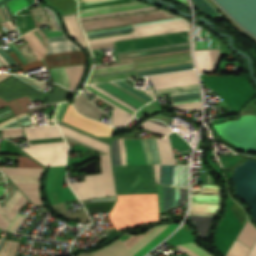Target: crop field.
<instances>
[{
    "label": "crop field",
    "mask_w": 256,
    "mask_h": 256,
    "mask_svg": "<svg viewBox=\"0 0 256 256\" xmlns=\"http://www.w3.org/2000/svg\"><path fill=\"white\" fill-rule=\"evenodd\" d=\"M117 194L156 191L153 165L113 167ZM109 214L115 229L158 221L156 192L117 195Z\"/></svg>",
    "instance_id": "crop-field-1"
},
{
    "label": "crop field",
    "mask_w": 256,
    "mask_h": 256,
    "mask_svg": "<svg viewBox=\"0 0 256 256\" xmlns=\"http://www.w3.org/2000/svg\"><path fill=\"white\" fill-rule=\"evenodd\" d=\"M128 165L154 164L157 184L187 188V165H175L171 147L191 149L175 132L164 139L124 140Z\"/></svg>",
    "instance_id": "crop-field-2"
},
{
    "label": "crop field",
    "mask_w": 256,
    "mask_h": 256,
    "mask_svg": "<svg viewBox=\"0 0 256 256\" xmlns=\"http://www.w3.org/2000/svg\"><path fill=\"white\" fill-rule=\"evenodd\" d=\"M189 30L188 21L170 18L84 32L90 45Z\"/></svg>",
    "instance_id": "crop-field-3"
},
{
    "label": "crop field",
    "mask_w": 256,
    "mask_h": 256,
    "mask_svg": "<svg viewBox=\"0 0 256 256\" xmlns=\"http://www.w3.org/2000/svg\"><path fill=\"white\" fill-rule=\"evenodd\" d=\"M50 19V27L52 30L47 31L48 55H56L63 53L82 51L74 43L68 40L65 36L60 21L54 10L44 6L43 7ZM44 61L48 69L81 64L85 61V54L83 52L71 53L64 55L44 57Z\"/></svg>",
    "instance_id": "crop-field-4"
},
{
    "label": "crop field",
    "mask_w": 256,
    "mask_h": 256,
    "mask_svg": "<svg viewBox=\"0 0 256 256\" xmlns=\"http://www.w3.org/2000/svg\"><path fill=\"white\" fill-rule=\"evenodd\" d=\"M197 186H202V193L191 196L190 218L199 231L201 238L207 237V231L219 208V185H191V195Z\"/></svg>",
    "instance_id": "crop-field-5"
},
{
    "label": "crop field",
    "mask_w": 256,
    "mask_h": 256,
    "mask_svg": "<svg viewBox=\"0 0 256 256\" xmlns=\"http://www.w3.org/2000/svg\"><path fill=\"white\" fill-rule=\"evenodd\" d=\"M80 20L154 10L134 0H78Z\"/></svg>",
    "instance_id": "crop-field-6"
},
{
    "label": "crop field",
    "mask_w": 256,
    "mask_h": 256,
    "mask_svg": "<svg viewBox=\"0 0 256 256\" xmlns=\"http://www.w3.org/2000/svg\"><path fill=\"white\" fill-rule=\"evenodd\" d=\"M19 167H41L27 157H19ZM4 173L26 194L34 204H42L39 194V175L43 168L1 167Z\"/></svg>",
    "instance_id": "crop-field-7"
},
{
    "label": "crop field",
    "mask_w": 256,
    "mask_h": 256,
    "mask_svg": "<svg viewBox=\"0 0 256 256\" xmlns=\"http://www.w3.org/2000/svg\"><path fill=\"white\" fill-rule=\"evenodd\" d=\"M22 37L28 43L18 47V50L20 51L24 59L27 61V63L41 60L47 50L46 35L43 32H41L38 28H36L26 33ZM9 54L18 62V64L21 66L24 72L44 67L42 60L23 65L13 51L9 52Z\"/></svg>",
    "instance_id": "crop-field-8"
},
{
    "label": "crop field",
    "mask_w": 256,
    "mask_h": 256,
    "mask_svg": "<svg viewBox=\"0 0 256 256\" xmlns=\"http://www.w3.org/2000/svg\"><path fill=\"white\" fill-rule=\"evenodd\" d=\"M189 61H192L190 57V53L152 58V59L136 60L132 62L135 68L139 69V68L168 65V64H175V63H182V62H189ZM192 68H193V64L192 62H189V63L175 64V65H168V66L139 69L137 70V72L139 76H144V75L189 70Z\"/></svg>",
    "instance_id": "crop-field-9"
},
{
    "label": "crop field",
    "mask_w": 256,
    "mask_h": 256,
    "mask_svg": "<svg viewBox=\"0 0 256 256\" xmlns=\"http://www.w3.org/2000/svg\"><path fill=\"white\" fill-rule=\"evenodd\" d=\"M176 17L162 10L81 22L84 31Z\"/></svg>",
    "instance_id": "crop-field-10"
},
{
    "label": "crop field",
    "mask_w": 256,
    "mask_h": 256,
    "mask_svg": "<svg viewBox=\"0 0 256 256\" xmlns=\"http://www.w3.org/2000/svg\"><path fill=\"white\" fill-rule=\"evenodd\" d=\"M179 224H171V225H162L158 226L157 228H153L151 230H148L140 235L133 236L130 239H128L125 243L127 248L129 249L130 247V252L132 253L133 256H144L148 251H150L152 248H154L156 245H158L164 238H166L173 230L177 228Z\"/></svg>",
    "instance_id": "crop-field-11"
},
{
    "label": "crop field",
    "mask_w": 256,
    "mask_h": 256,
    "mask_svg": "<svg viewBox=\"0 0 256 256\" xmlns=\"http://www.w3.org/2000/svg\"><path fill=\"white\" fill-rule=\"evenodd\" d=\"M67 103H60L55 113V122L58 123L64 137L74 142L80 143L86 147L96 150L102 154H110L109 147L110 143L103 141L97 137L79 131L67 124L60 122L62 113Z\"/></svg>",
    "instance_id": "crop-field-12"
},
{
    "label": "crop field",
    "mask_w": 256,
    "mask_h": 256,
    "mask_svg": "<svg viewBox=\"0 0 256 256\" xmlns=\"http://www.w3.org/2000/svg\"><path fill=\"white\" fill-rule=\"evenodd\" d=\"M189 41V31L115 42L117 52Z\"/></svg>",
    "instance_id": "crop-field-13"
},
{
    "label": "crop field",
    "mask_w": 256,
    "mask_h": 256,
    "mask_svg": "<svg viewBox=\"0 0 256 256\" xmlns=\"http://www.w3.org/2000/svg\"><path fill=\"white\" fill-rule=\"evenodd\" d=\"M28 154L47 166L65 165L68 151L66 144L22 148Z\"/></svg>",
    "instance_id": "crop-field-14"
},
{
    "label": "crop field",
    "mask_w": 256,
    "mask_h": 256,
    "mask_svg": "<svg viewBox=\"0 0 256 256\" xmlns=\"http://www.w3.org/2000/svg\"><path fill=\"white\" fill-rule=\"evenodd\" d=\"M132 71H135L133 68L132 62L114 64V65H108V66L100 65V66L93 67V71L91 73L90 78L108 76V75H114V74H120V73L132 72ZM135 77H138V76L136 72H133V73H127V74H121V75H115V76L89 79L87 84L135 78Z\"/></svg>",
    "instance_id": "crop-field-15"
},
{
    "label": "crop field",
    "mask_w": 256,
    "mask_h": 256,
    "mask_svg": "<svg viewBox=\"0 0 256 256\" xmlns=\"http://www.w3.org/2000/svg\"><path fill=\"white\" fill-rule=\"evenodd\" d=\"M190 52L189 42L117 53L119 61Z\"/></svg>",
    "instance_id": "crop-field-16"
},
{
    "label": "crop field",
    "mask_w": 256,
    "mask_h": 256,
    "mask_svg": "<svg viewBox=\"0 0 256 256\" xmlns=\"http://www.w3.org/2000/svg\"><path fill=\"white\" fill-rule=\"evenodd\" d=\"M62 121L82 129L94 136L112 135L111 127L83 117L74 110L71 104L67 108Z\"/></svg>",
    "instance_id": "crop-field-17"
},
{
    "label": "crop field",
    "mask_w": 256,
    "mask_h": 256,
    "mask_svg": "<svg viewBox=\"0 0 256 256\" xmlns=\"http://www.w3.org/2000/svg\"><path fill=\"white\" fill-rule=\"evenodd\" d=\"M29 146L65 143L57 126L24 128Z\"/></svg>",
    "instance_id": "crop-field-18"
},
{
    "label": "crop field",
    "mask_w": 256,
    "mask_h": 256,
    "mask_svg": "<svg viewBox=\"0 0 256 256\" xmlns=\"http://www.w3.org/2000/svg\"><path fill=\"white\" fill-rule=\"evenodd\" d=\"M21 95H27L33 99L44 98V94L32 89L13 77H9L0 82V97L9 100Z\"/></svg>",
    "instance_id": "crop-field-19"
},
{
    "label": "crop field",
    "mask_w": 256,
    "mask_h": 256,
    "mask_svg": "<svg viewBox=\"0 0 256 256\" xmlns=\"http://www.w3.org/2000/svg\"><path fill=\"white\" fill-rule=\"evenodd\" d=\"M54 82L68 89H74L83 72V65L49 70Z\"/></svg>",
    "instance_id": "crop-field-20"
},
{
    "label": "crop field",
    "mask_w": 256,
    "mask_h": 256,
    "mask_svg": "<svg viewBox=\"0 0 256 256\" xmlns=\"http://www.w3.org/2000/svg\"><path fill=\"white\" fill-rule=\"evenodd\" d=\"M224 55L222 49L195 50L199 73H213L218 59Z\"/></svg>",
    "instance_id": "crop-field-21"
},
{
    "label": "crop field",
    "mask_w": 256,
    "mask_h": 256,
    "mask_svg": "<svg viewBox=\"0 0 256 256\" xmlns=\"http://www.w3.org/2000/svg\"><path fill=\"white\" fill-rule=\"evenodd\" d=\"M27 200L14 185L0 205L14 219Z\"/></svg>",
    "instance_id": "crop-field-22"
},
{
    "label": "crop field",
    "mask_w": 256,
    "mask_h": 256,
    "mask_svg": "<svg viewBox=\"0 0 256 256\" xmlns=\"http://www.w3.org/2000/svg\"><path fill=\"white\" fill-rule=\"evenodd\" d=\"M77 256H132L123 242L119 239L92 253H81Z\"/></svg>",
    "instance_id": "crop-field-23"
},
{
    "label": "crop field",
    "mask_w": 256,
    "mask_h": 256,
    "mask_svg": "<svg viewBox=\"0 0 256 256\" xmlns=\"http://www.w3.org/2000/svg\"><path fill=\"white\" fill-rule=\"evenodd\" d=\"M75 103H76L77 109L89 117L97 119L101 115V113L98 112L100 110L97 107H95L93 104L88 102L81 95L79 98H77Z\"/></svg>",
    "instance_id": "crop-field-24"
},
{
    "label": "crop field",
    "mask_w": 256,
    "mask_h": 256,
    "mask_svg": "<svg viewBox=\"0 0 256 256\" xmlns=\"http://www.w3.org/2000/svg\"><path fill=\"white\" fill-rule=\"evenodd\" d=\"M115 200L116 198H111V199L84 201L82 203L92 204V203L109 202V201H115ZM114 203L115 202H109V203H100V204H92V205H84V206L88 213H93V212H101V211H110Z\"/></svg>",
    "instance_id": "crop-field-25"
},
{
    "label": "crop field",
    "mask_w": 256,
    "mask_h": 256,
    "mask_svg": "<svg viewBox=\"0 0 256 256\" xmlns=\"http://www.w3.org/2000/svg\"><path fill=\"white\" fill-rule=\"evenodd\" d=\"M247 222L242 228L241 232L239 233L236 239H238L239 241H241L246 246L252 249L256 241V230L250 226L251 224L249 222L248 223L250 225Z\"/></svg>",
    "instance_id": "crop-field-26"
},
{
    "label": "crop field",
    "mask_w": 256,
    "mask_h": 256,
    "mask_svg": "<svg viewBox=\"0 0 256 256\" xmlns=\"http://www.w3.org/2000/svg\"><path fill=\"white\" fill-rule=\"evenodd\" d=\"M32 123V119L27 112L22 113L20 115L14 116L6 121L0 123V128L4 127H20L30 125Z\"/></svg>",
    "instance_id": "crop-field-27"
},
{
    "label": "crop field",
    "mask_w": 256,
    "mask_h": 256,
    "mask_svg": "<svg viewBox=\"0 0 256 256\" xmlns=\"http://www.w3.org/2000/svg\"><path fill=\"white\" fill-rule=\"evenodd\" d=\"M63 18L65 20V23H66L67 27H68V31L72 35V37L74 39H76L77 41H79L81 43V45L87 46L84 39H83V36H82L81 31L79 29V26L77 24L76 16L75 15L65 16Z\"/></svg>",
    "instance_id": "crop-field-28"
},
{
    "label": "crop field",
    "mask_w": 256,
    "mask_h": 256,
    "mask_svg": "<svg viewBox=\"0 0 256 256\" xmlns=\"http://www.w3.org/2000/svg\"><path fill=\"white\" fill-rule=\"evenodd\" d=\"M50 4L58 7L62 15L76 14V0H46Z\"/></svg>",
    "instance_id": "crop-field-29"
},
{
    "label": "crop field",
    "mask_w": 256,
    "mask_h": 256,
    "mask_svg": "<svg viewBox=\"0 0 256 256\" xmlns=\"http://www.w3.org/2000/svg\"><path fill=\"white\" fill-rule=\"evenodd\" d=\"M193 237L190 233L182 230V229H178L173 236L168 239L167 243L176 246V245H180V244H184V243H189V242H193Z\"/></svg>",
    "instance_id": "crop-field-30"
},
{
    "label": "crop field",
    "mask_w": 256,
    "mask_h": 256,
    "mask_svg": "<svg viewBox=\"0 0 256 256\" xmlns=\"http://www.w3.org/2000/svg\"><path fill=\"white\" fill-rule=\"evenodd\" d=\"M70 92L56 84L53 91L47 96V103L66 101Z\"/></svg>",
    "instance_id": "crop-field-31"
},
{
    "label": "crop field",
    "mask_w": 256,
    "mask_h": 256,
    "mask_svg": "<svg viewBox=\"0 0 256 256\" xmlns=\"http://www.w3.org/2000/svg\"><path fill=\"white\" fill-rule=\"evenodd\" d=\"M16 21L21 35L36 28L30 14L18 16Z\"/></svg>",
    "instance_id": "crop-field-32"
},
{
    "label": "crop field",
    "mask_w": 256,
    "mask_h": 256,
    "mask_svg": "<svg viewBox=\"0 0 256 256\" xmlns=\"http://www.w3.org/2000/svg\"><path fill=\"white\" fill-rule=\"evenodd\" d=\"M29 103L30 102L28 101V99L26 97H21L19 99L9 102V103L0 99V108L9 104L11 109L13 110L14 114H16V113L22 112L24 110H27V107L25 104H29Z\"/></svg>",
    "instance_id": "crop-field-33"
},
{
    "label": "crop field",
    "mask_w": 256,
    "mask_h": 256,
    "mask_svg": "<svg viewBox=\"0 0 256 256\" xmlns=\"http://www.w3.org/2000/svg\"><path fill=\"white\" fill-rule=\"evenodd\" d=\"M182 250H184L190 256H211L206 251H204L201 247L190 243L182 246H178Z\"/></svg>",
    "instance_id": "crop-field-34"
},
{
    "label": "crop field",
    "mask_w": 256,
    "mask_h": 256,
    "mask_svg": "<svg viewBox=\"0 0 256 256\" xmlns=\"http://www.w3.org/2000/svg\"><path fill=\"white\" fill-rule=\"evenodd\" d=\"M7 241L0 240V254L5 246ZM18 243L17 242H11L8 241L1 256H14L17 250Z\"/></svg>",
    "instance_id": "crop-field-35"
},
{
    "label": "crop field",
    "mask_w": 256,
    "mask_h": 256,
    "mask_svg": "<svg viewBox=\"0 0 256 256\" xmlns=\"http://www.w3.org/2000/svg\"><path fill=\"white\" fill-rule=\"evenodd\" d=\"M250 249L235 240L226 256H247Z\"/></svg>",
    "instance_id": "crop-field-36"
},
{
    "label": "crop field",
    "mask_w": 256,
    "mask_h": 256,
    "mask_svg": "<svg viewBox=\"0 0 256 256\" xmlns=\"http://www.w3.org/2000/svg\"><path fill=\"white\" fill-rule=\"evenodd\" d=\"M29 11H30L37 27L44 23H48V19L45 15L43 9L41 8V6L30 9Z\"/></svg>",
    "instance_id": "crop-field-37"
},
{
    "label": "crop field",
    "mask_w": 256,
    "mask_h": 256,
    "mask_svg": "<svg viewBox=\"0 0 256 256\" xmlns=\"http://www.w3.org/2000/svg\"><path fill=\"white\" fill-rule=\"evenodd\" d=\"M29 5L34 3L35 0H26ZM25 0H11L7 2L12 14L16 13L18 10L28 6V3Z\"/></svg>",
    "instance_id": "crop-field-38"
},
{
    "label": "crop field",
    "mask_w": 256,
    "mask_h": 256,
    "mask_svg": "<svg viewBox=\"0 0 256 256\" xmlns=\"http://www.w3.org/2000/svg\"><path fill=\"white\" fill-rule=\"evenodd\" d=\"M18 65L15 60H13L7 52L0 47V66H12Z\"/></svg>",
    "instance_id": "crop-field-39"
},
{
    "label": "crop field",
    "mask_w": 256,
    "mask_h": 256,
    "mask_svg": "<svg viewBox=\"0 0 256 256\" xmlns=\"http://www.w3.org/2000/svg\"><path fill=\"white\" fill-rule=\"evenodd\" d=\"M12 76L18 78L19 80L25 82L26 84L34 87L35 89L41 91V89L43 88L44 84L40 83L39 81H34L26 76H22V75H15L13 74Z\"/></svg>",
    "instance_id": "crop-field-40"
},
{
    "label": "crop field",
    "mask_w": 256,
    "mask_h": 256,
    "mask_svg": "<svg viewBox=\"0 0 256 256\" xmlns=\"http://www.w3.org/2000/svg\"><path fill=\"white\" fill-rule=\"evenodd\" d=\"M0 153H21L8 140H2Z\"/></svg>",
    "instance_id": "crop-field-41"
},
{
    "label": "crop field",
    "mask_w": 256,
    "mask_h": 256,
    "mask_svg": "<svg viewBox=\"0 0 256 256\" xmlns=\"http://www.w3.org/2000/svg\"><path fill=\"white\" fill-rule=\"evenodd\" d=\"M0 218L9 225L11 221L13 220L6 212L5 210L0 206ZM0 219V228L2 230H5L8 226Z\"/></svg>",
    "instance_id": "crop-field-42"
},
{
    "label": "crop field",
    "mask_w": 256,
    "mask_h": 256,
    "mask_svg": "<svg viewBox=\"0 0 256 256\" xmlns=\"http://www.w3.org/2000/svg\"><path fill=\"white\" fill-rule=\"evenodd\" d=\"M22 137L20 128L3 129V138Z\"/></svg>",
    "instance_id": "crop-field-43"
},
{
    "label": "crop field",
    "mask_w": 256,
    "mask_h": 256,
    "mask_svg": "<svg viewBox=\"0 0 256 256\" xmlns=\"http://www.w3.org/2000/svg\"><path fill=\"white\" fill-rule=\"evenodd\" d=\"M13 18L9 9H8V6L7 4H3L0 6V21L1 20H6V19H11Z\"/></svg>",
    "instance_id": "crop-field-44"
},
{
    "label": "crop field",
    "mask_w": 256,
    "mask_h": 256,
    "mask_svg": "<svg viewBox=\"0 0 256 256\" xmlns=\"http://www.w3.org/2000/svg\"><path fill=\"white\" fill-rule=\"evenodd\" d=\"M24 217H25V215L18 213V215L15 217V219L10 224V226L6 229V231L14 232V230L17 228V226L20 224V222L24 219Z\"/></svg>",
    "instance_id": "crop-field-45"
},
{
    "label": "crop field",
    "mask_w": 256,
    "mask_h": 256,
    "mask_svg": "<svg viewBox=\"0 0 256 256\" xmlns=\"http://www.w3.org/2000/svg\"><path fill=\"white\" fill-rule=\"evenodd\" d=\"M12 115V112L9 110V108L0 111V120Z\"/></svg>",
    "instance_id": "crop-field-46"
},
{
    "label": "crop field",
    "mask_w": 256,
    "mask_h": 256,
    "mask_svg": "<svg viewBox=\"0 0 256 256\" xmlns=\"http://www.w3.org/2000/svg\"><path fill=\"white\" fill-rule=\"evenodd\" d=\"M112 46H114L113 43H107V44L93 45L90 47L92 50H94V49H100V48H106V47H112Z\"/></svg>",
    "instance_id": "crop-field-47"
},
{
    "label": "crop field",
    "mask_w": 256,
    "mask_h": 256,
    "mask_svg": "<svg viewBox=\"0 0 256 256\" xmlns=\"http://www.w3.org/2000/svg\"><path fill=\"white\" fill-rule=\"evenodd\" d=\"M9 46L17 54V56L20 58V60L23 62V64H25L26 61L23 59L21 54L18 52V50L16 49V46L13 43L9 44Z\"/></svg>",
    "instance_id": "crop-field-48"
},
{
    "label": "crop field",
    "mask_w": 256,
    "mask_h": 256,
    "mask_svg": "<svg viewBox=\"0 0 256 256\" xmlns=\"http://www.w3.org/2000/svg\"><path fill=\"white\" fill-rule=\"evenodd\" d=\"M202 183H213L208 174H202Z\"/></svg>",
    "instance_id": "crop-field-49"
},
{
    "label": "crop field",
    "mask_w": 256,
    "mask_h": 256,
    "mask_svg": "<svg viewBox=\"0 0 256 256\" xmlns=\"http://www.w3.org/2000/svg\"><path fill=\"white\" fill-rule=\"evenodd\" d=\"M249 256H256V243H255L253 249L251 250Z\"/></svg>",
    "instance_id": "crop-field-50"
},
{
    "label": "crop field",
    "mask_w": 256,
    "mask_h": 256,
    "mask_svg": "<svg viewBox=\"0 0 256 256\" xmlns=\"http://www.w3.org/2000/svg\"><path fill=\"white\" fill-rule=\"evenodd\" d=\"M11 74H0V81L5 79L6 77H8Z\"/></svg>",
    "instance_id": "crop-field-51"
},
{
    "label": "crop field",
    "mask_w": 256,
    "mask_h": 256,
    "mask_svg": "<svg viewBox=\"0 0 256 256\" xmlns=\"http://www.w3.org/2000/svg\"><path fill=\"white\" fill-rule=\"evenodd\" d=\"M66 141L68 142L69 147H71V146L77 144V143L71 142V141H69V140H66Z\"/></svg>",
    "instance_id": "crop-field-52"
},
{
    "label": "crop field",
    "mask_w": 256,
    "mask_h": 256,
    "mask_svg": "<svg viewBox=\"0 0 256 256\" xmlns=\"http://www.w3.org/2000/svg\"><path fill=\"white\" fill-rule=\"evenodd\" d=\"M14 184L11 182V184L8 186V188H7V193H8V191L11 189V187L13 186Z\"/></svg>",
    "instance_id": "crop-field-53"
},
{
    "label": "crop field",
    "mask_w": 256,
    "mask_h": 256,
    "mask_svg": "<svg viewBox=\"0 0 256 256\" xmlns=\"http://www.w3.org/2000/svg\"><path fill=\"white\" fill-rule=\"evenodd\" d=\"M86 49H87L88 56H89V57H92L91 54H90L89 49H88V48H86Z\"/></svg>",
    "instance_id": "crop-field-54"
},
{
    "label": "crop field",
    "mask_w": 256,
    "mask_h": 256,
    "mask_svg": "<svg viewBox=\"0 0 256 256\" xmlns=\"http://www.w3.org/2000/svg\"><path fill=\"white\" fill-rule=\"evenodd\" d=\"M182 256H187V255H182Z\"/></svg>",
    "instance_id": "crop-field-55"
}]
</instances>
